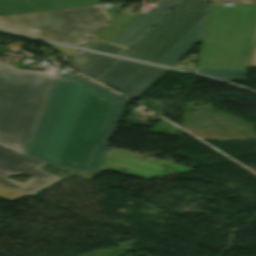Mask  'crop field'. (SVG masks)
<instances>
[{"label":"crop field","mask_w":256,"mask_h":256,"mask_svg":"<svg viewBox=\"0 0 256 256\" xmlns=\"http://www.w3.org/2000/svg\"><path fill=\"white\" fill-rule=\"evenodd\" d=\"M127 102L78 75L58 73L23 154L97 174Z\"/></svg>","instance_id":"obj_1"},{"label":"crop field","mask_w":256,"mask_h":256,"mask_svg":"<svg viewBox=\"0 0 256 256\" xmlns=\"http://www.w3.org/2000/svg\"><path fill=\"white\" fill-rule=\"evenodd\" d=\"M58 68L25 71L0 63V145L23 153Z\"/></svg>","instance_id":"obj_2"},{"label":"crop field","mask_w":256,"mask_h":256,"mask_svg":"<svg viewBox=\"0 0 256 256\" xmlns=\"http://www.w3.org/2000/svg\"><path fill=\"white\" fill-rule=\"evenodd\" d=\"M209 4L197 68L247 70L256 6Z\"/></svg>","instance_id":"obj_3"},{"label":"crop field","mask_w":256,"mask_h":256,"mask_svg":"<svg viewBox=\"0 0 256 256\" xmlns=\"http://www.w3.org/2000/svg\"><path fill=\"white\" fill-rule=\"evenodd\" d=\"M207 6L183 0L124 56L174 67L200 43Z\"/></svg>","instance_id":"obj_4"},{"label":"crop field","mask_w":256,"mask_h":256,"mask_svg":"<svg viewBox=\"0 0 256 256\" xmlns=\"http://www.w3.org/2000/svg\"><path fill=\"white\" fill-rule=\"evenodd\" d=\"M111 20L102 4H98L4 16L0 17V28L19 34L83 47Z\"/></svg>","instance_id":"obj_5"},{"label":"crop field","mask_w":256,"mask_h":256,"mask_svg":"<svg viewBox=\"0 0 256 256\" xmlns=\"http://www.w3.org/2000/svg\"><path fill=\"white\" fill-rule=\"evenodd\" d=\"M170 70L119 59L99 79L114 90L134 99L143 96Z\"/></svg>","instance_id":"obj_6"},{"label":"crop field","mask_w":256,"mask_h":256,"mask_svg":"<svg viewBox=\"0 0 256 256\" xmlns=\"http://www.w3.org/2000/svg\"><path fill=\"white\" fill-rule=\"evenodd\" d=\"M179 0H161L147 14L132 10H124L111 24H109L97 38L119 45L121 43L132 45L156 21H158Z\"/></svg>","instance_id":"obj_7"},{"label":"crop field","mask_w":256,"mask_h":256,"mask_svg":"<svg viewBox=\"0 0 256 256\" xmlns=\"http://www.w3.org/2000/svg\"><path fill=\"white\" fill-rule=\"evenodd\" d=\"M46 164L0 146V184L26 193L30 196L49 186L60 178L37 170ZM23 173L34 178L21 184L8 179L9 177Z\"/></svg>","instance_id":"obj_8"},{"label":"crop field","mask_w":256,"mask_h":256,"mask_svg":"<svg viewBox=\"0 0 256 256\" xmlns=\"http://www.w3.org/2000/svg\"><path fill=\"white\" fill-rule=\"evenodd\" d=\"M117 58L81 51L69 63V67L97 79Z\"/></svg>","instance_id":"obj_9"},{"label":"crop field","mask_w":256,"mask_h":256,"mask_svg":"<svg viewBox=\"0 0 256 256\" xmlns=\"http://www.w3.org/2000/svg\"><path fill=\"white\" fill-rule=\"evenodd\" d=\"M36 11L98 4V0H28Z\"/></svg>","instance_id":"obj_10"},{"label":"crop field","mask_w":256,"mask_h":256,"mask_svg":"<svg viewBox=\"0 0 256 256\" xmlns=\"http://www.w3.org/2000/svg\"><path fill=\"white\" fill-rule=\"evenodd\" d=\"M35 11L27 0H0V16Z\"/></svg>","instance_id":"obj_11"},{"label":"crop field","mask_w":256,"mask_h":256,"mask_svg":"<svg viewBox=\"0 0 256 256\" xmlns=\"http://www.w3.org/2000/svg\"><path fill=\"white\" fill-rule=\"evenodd\" d=\"M195 72L222 78L228 81H246V71L195 69Z\"/></svg>","instance_id":"obj_12"},{"label":"crop field","mask_w":256,"mask_h":256,"mask_svg":"<svg viewBox=\"0 0 256 256\" xmlns=\"http://www.w3.org/2000/svg\"><path fill=\"white\" fill-rule=\"evenodd\" d=\"M86 48L119 55H122L125 52L123 49L117 48L97 39H94Z\"/></svg>","instance_id":"obj_13"},{"label":"crop field","mask_w":256,"mask_h":256,"mask_svg":"<svg viewBox=\"0 0 256 256\" xmlns=\"http://www.w3.org/2000/svg\"><path fill=\"white\" fill-rule=\"evenodd\" d=\"M26 196L28 195H24L22 193L0 185V198L3 200L15 201Z\"/></svg>","instance_id":"obj_14"},{"label":"crop field","mask_w":256,"mask_h":256,"mask_svg":"<svg viewBox=\"0 0 256 256\" xmlns=\"http://www.w3.org/2000/svg\"><path fill=\"white\" fill-rule=\"evenodd\" d=\"M48 45L52 46L53 48H55L56 50H58L59 52H61L62 54L66 55L69 58L77 51L76 49L66 48L62 46H57L52 44H48Z\"/></svg>","instance_id":"obj_15"},{"label":"crop field","mask_w":256,"mask_h":256,"mask_svg":"<svg viewBox=\"0 0 256 256\" xmlns=\"http://www.w3.org/2000/svg\"><path fill=\"white\" fill-rule=\"evenodd\" d=\"M208 1L256 4V0H208Z\"/></svg>","instance_id":"obj_16"},{"label":"crop field","mask_w":256,"mask_h":256,"mask_svg":"<svg viewBox=\"0 0 256 256\" xmlns=\"http://www.w3.org/2000/svg\"><path fill=\"white\" fill-rule=\"evenodd\" d=\"M249 65H256V34Z\"/></svg>","instance_id":"obj_17"},{"label":"crop field","mask_w":256,"mask_h":256,"mask_svg":"<svg viewBox=\"0 0 256 256\" xmlns=\"http://www.w3.org/2000/svg\"><path fill=\"white\" fill-rule=\"evenodd\" d=\"M119 46L124 47V48H126V49H128V48L130 47L129 45H124V44H121V45H119Z\"/></svg>","instance_id":"obj_18"}]
</instances>
